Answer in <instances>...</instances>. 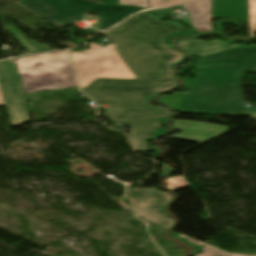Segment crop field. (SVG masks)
<instances>
[{
	"instance_id": "8a807250",
	"label": "crop field",
	"mask_w": 256,
	"mask_h": 256,
	"mask_svg": "<svg viewBox=\"0 0 256 256\" xmlns=\"http://www.w3.org/2000/svg\"><path fill=\"white\" fill-rule=\"evenodd\" d=\"M183 26L160 21L144 12L104 32L137 79L175 81L172 63L183 58L163 38Z\"/></svg>"
},
{
	"instance_id": "ac0d7876",
	"label": "crop field",
	"mask_w": 256,
	"mask_h": 256,
	"mask_svg": "<svg viewBox=\"0 0 256 256\" xmlns=\"http://www.w3.org/2000/svg\"><path fill=\"white\" fill-rule=\"evenodd\" d=\"M177 82L149 80L98 79L82 92L109 105L108 112L116 126L131 127L130 137L136 150H146L147 136L160 128L158 117L171 116L163 108L145 103V96L175 87Z\"/></svg>"
},
{
	"instance_id": "34b2d1b8",
	"label": "crop field",
	"mask_w": 256,
	"mask_h": 256,
	"mask_svg": "<svg viewBox=\"0 0 256 256\" xmlns=\"http://www.w3.org/2000/svg\"><path fill=\"white\" fill-rule=\"evenodd\" d=\"M189 91L160 96L159 101L184 113L253 115L256 108L245 107L240 85L183 81Z\"/></svg>"
},
{
	"instance_id": "412701ff",
	"label": "crop field",
	"mask_w": 256,
	"mask_h": 256,
	"mask_svg": "<svg viewBox=\"0 0 256 256\" xmlns=\"http://www.w3.org/2000/svg\"><path fill=\"white\" fill-rule=\"evenodd\" d=\"M26 94L78 86L66 51L16 59Z\"/></svg>"
},
{
	"instance_id": "f4fd0767",
	"label": "crop field",
	"mask_w": 256,
	"mask_h": 256,
	"mask_svg": "<svg viewBox=\"0 0 256 256\" xmlns=\"http://www.w3.org/2000/svg\"><path fill=\"white\" fill-rule=\"evenodd\" d=\"M17 2L54 26H67L76 21L85 11L92 10L100 15L101 30L141 10L136 7L93 4L94 2L86 0H17Z\"/></svg>"
},
{
	"instance_id": "dd49c442",
	"label": "crop field",
	"mask_w": 256,
	"mask_h": 256,
	"mask_svg": "<svg viewBox=\"0 0 256 256\" xmlns=\"http://www.w3.org/2000/svg\"><path fill=\"white\" fill-rule=\"evenodd\" d=\"M244 71L256 72V46L238 47L199 58V81L239 84Z\"/></svg>"
},
{
	"instance_id": "e52e79f7",
	"label": "crop field",
	"mask_w": 256,
	"mask_h": 256,
	"mask_svg": "<svg viewBox=\"0 0 256 256\" xmlns=\"http://www.w3.org/2000/svg\"><path fill=\"white\" fill-rule=\"evenodd\" d=\"M91 50L71 52L76 72L81 82V89L99 78L136 79L112 44L102 48L93 43Z\"/></svg>"
},
{
	"instance_id": "d8731c3e",
	"label": "crop field",
	"mask_w": 256,
	"mask_h": 256,
	"mask_svg": "<svg viewBox=\"0 0 256 256\" xmlns=\"http://www.w3.org/2000/svg\"><path fill=\"white\" fill-rule=\"evenodd\" d=\"M131 204L130 209L139 217L160 225L171 228L174 221L160 213L172 199L171 195L153 188L127 189L125 193Z\"/></svg>"
},
{
	"instance_id": "5a996713",
	"label": "crop field",
	"mask_w": 256,
	"mask_h": 256,
	"mask_svg": "<svg viewBox=\"0 0 256 256\" xmlns=\"http://www.w3.org/2000/svg\"><path fill=\"white\" fill-rule=\"evenodd\" d=\"M172 126L174 129L185 131L184 133L176 136V139L195 142L208 140L230 129L226 126L183 120H174Z\"/></svg>"
},
{
	"instance_id": "3316defc",
	"label": "crop field",
	"mask_w": 256,
	"mask_h": 256,
	"mask_svg": "<svg viewBox=\"0 0 256 256\" xmlns=\"http://www.w3.org/2000/svg\"><path fill=\"white\" fill-rule=\"evenodd\" d=\"M182 6L188 12L186 16L187 24L193 26L197 32L202 34L209 32L222 34L212 28L210 0H201Z\"/></svg>"
},
{
	"instance_id": "28ad6ade",
	"label": "crop field",
	"mask_w": 256,
	"mask_h": 256,
	"mask_svg": "<svg viewBox=\"0 0 256 256\" xmlns=\"http://www.w3.org/2000/svg\"><path fill=\"white\" fill-rule=\"evenodd\" d=\"M212 17L238 18L248 22L247 0H211Z\"/></svg>"
},
{
	"instance_id": "d1516ede",
	"label": "crop field",
	"mask_w": 256,
	"mask_h": 256,
	"mask_svg": "<svg viewBox=\"0 0 256 256\" xmlns=\"http://www.w3.org/2000/svg\"><path fill=\"white\" fill-rule=\"evenodd\" d=\"M177 45L182 48L189 57H199L202 55L238 47V45H227L219 40L204 42L193 39L175 40Z\"/></svg>"
},
{
	"instance_id": "22f410ed",
	"label": "crop field",
	"mask_w": 256,
	"mask_h": 256,
	"mask_svg": "<svg viewBox=\"0 0 256 256\" xmlns=\"http://www.w3.org/2000/svg\"><path fill=\"white\" fill-rule=\"evenodd\" d=\"M15 39H17L30 54L50 51L47 45H37L35 42L29 41L23 34H21L15 27L6 29Z\"/></svg>"
},
{
	"instance_id": "cbeb9de0",
	"label": "crop field",
	"mask_w": 256,
	"mask_h": 256,
	"mask_svg": "<svg viewBox=\"0 0 256 256\" xmlns=\"http://www.w3.org/2000/svg\"><path fill=\"white\" fill-rule=\"evenodd\" d=\"M178 235L188 239L189 242H191V243L203 246V252L198 254L197 256H254V255L227 253V252L222 251L218 248H215V247L210 246L208 244L202 243V242L197 241L195 239L189 238L187 236H184V235H181V234H178Z\"/></svg>"
},
{
	"instance_id": "5142ce71",
	"label": "crop field",
	"mask_w": 256,
	"mask_h": 256,
	"mask_svg": "<svg viewBox=\"0 0 256 256\" xmlns=\"http://www.w3.org/2000/svg\"><path fill=\"white\" fill-rule=\"evenodd\" d=\"M249 3V25L250 37L254 36L256 30V0H248Z\"/></svg>"
},
{
	"instance_id": "d9b57169",
	"label": "crop field",
	"mask_w": 256,
	"mask_h": 256,
	"mask_svg": "<svg viewBox=\"0 0 256 256\" xmlns=\"http://www.w3.org/2000/svg\"><path fill=\"white\" fill-rule=\"evenodd\" d=\"M165 181L167 183L168 188L171 191L187 186L186 183L183 181V179L181 177L168 178Z\"/></svg>"
},
{
	"instance_id": "733c2abd",
	"label": "crop field",
	"mask_w": 256,
	"mask_h": 256,
	"mask_svg": "<svg viewBox=\"0 0 256 256\" xmlns=\"http://www.w3.org/2000/svg\"><path fill=\"white\" fill-rule=\"evenodd\" d=\"M151 8L154 7H162V6H169L172 4L180 3L183 1H188V0H149Z\"/></svg>"
},
{
	"instance_id": "4a817a6b",
	"label": "crop field",
	"mask_w": 256,
	"mask_h": 256,
	"mask_svg": "<svg viewBox=\"0 0 256 256\" xmlns=\"http://www.w3.org/2000/svg\"><path fill=\"white\" fill-rule=\"evenodd\" d=\"M119 3L124 5L141 6L143 8H149L147 0H119Z\"/></svg>"
},
{
	"instance_id": "bc2a9ffb",
	"label": "crop field",
	"mask_w": 256,
	"mask_h": 256,
	"mask_svg": "<svg viewBox=\"0 0 256 256\" xmlns=\"http://www.w3.org/2000/svg\"><path fill=\"white\" fill-rule=\"evenodd\" d=\"M151 12L156 15H174L172 11H166L165 9L152 10Z\"/></svg>"
},
{
	"instance_id": "214f88e0",
	"label": "crop field",
	"mask_w": 256,
	"mask_h": 256,
	"mask_svg": "<svg viewBox=\"0 0 256 256\" xmlns=\"http://www.w3.org/2000/svg\"><path fill=\"white\" fill-rule=\"evenodd\" d=\"M169 171H170L169 165H168V164H165V165H163V167H162V173H161V175H164V174L168 173Z\"/></svg>"
},
{
	"instance_id": "92a150f3",
	"label": "crop field",
	"mask_w": 256,
	"mask_h": 256,
	"mask_svg": "<svg viewBox=\"0 0 256 256\" xmlns=\"http://www.w3.org/2000/svg\"><path fill=\"white\" fill-rule=\"evenodd\" d=\"M1 106H6V105H5V101H4L3 94L0 87V107Z\"/></svg>"
},
{
	"instance_id": "dafd665d",
	"label": "crop field",
	"mask_w": 256,
	"mask_h": 256,
	"mask_svg": "<svg viewBox=\"0 0 256 256\" xmlns=\"http://www.w3.org/2000/svg\"><path fill=\"white\" fill-rule=\"evenodd\" d=\"M103 3L118 4V0H101Z\"/></svg>"
},
{
	"instance_id": "00972430",
	"label": "crop field",
	"mask_w": 256,
	"mask_h": 256,
	"mask_svg": "<svg viewBox=\"0 0 256 256\" xmlns=\"http://www.w3.org/2000/svg\"><path fill=\"white\" fill-rule=\"evenodd\" d=\"M98 33H100V32H99V31H96V32H94L93 34L96 35V34H98Z\"/></svg>"
},
{
	"instance_id": "a9b5d70f",
	"label": "crop field",
	"mask_w": 256,
	"mask_h": 256,
	"mask_svg": "<svg viewBox=\"0 0 256 256\" xmlns=\"http://www.w3.org/2000/svg\"><path fill=\"white\" fill-rule=\"evenodd\" d=\"M252 120H256V115L253 117V118H251Z\"/></svg>"
}]
</instances>
